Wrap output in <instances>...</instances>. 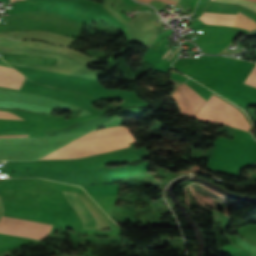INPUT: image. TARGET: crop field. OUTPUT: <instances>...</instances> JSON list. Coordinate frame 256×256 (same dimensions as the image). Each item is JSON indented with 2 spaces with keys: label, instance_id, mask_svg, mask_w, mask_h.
Instances as JSON below:
<instances>
[{
  "label": "crop field",
  "instance_id": "crop-field-13",
  "mask_svg": "<svg viewBox=\"0 0 256 256\" xmlns=\"http://www.w3.org/2000/svg\"><path fill=\"white\" fill-rule=\"evenodd\" d=\"M11 1H15V0H11Z\"/></svg>",
  "mask_w": 256,
  "mask_h": 256
},
{
  "label": "crop field",
  "instance_id": "crop-field-6",
  "mask_svg": "<svg viewBox=\"0 0 256 256\" xmlns=\"http://www.w3.org/2000/svg\"><path fill=\"white\" fill-rule=\"evenodd\" d=\"M0 55L8 63L57 65V61H58V58L45 57V56L13 54V53H3V52H0Z\"/></svg>",
  "mask_w": 256,
  "mask_h": 256
},
{
  "label": "crop field",
  "instance_id": "crop-field-8",
  "mask_svg": "<svg viewBox=\"0 0 256 256\" xmlns=\"http://www.w3.org/2000/svg\"><path fill=\"white\" fill-rule=\"evenodd\" d=\"M214 1H219V2H227V3H234V4H239V5H243L245 7H248L254 11H256V0H247V1H250V2H246V1H242V0H214Z\"/></svg>",
  "mask_w": 256,
  "mask_h": 256
},
{
  "label": "crop field",
  "instance_id": "crop-field-10",
  "mask_svg": "<svg viewBox=\"0 0 256 256\" xmlns=\"http://www.w3.org/2000/svg\"><path fill=\"white\" fill-rule=\"evenodd\" d=\"M0 118L22 120L19 116L15 115L13 113H10V112H0Z\"/></svg>",
  "mask_w": 256,
  "mask_h": 256
},
{
  "label": "crop field",
  "instance_id": "crop-field-4",
  "mask_svg": "<svg viewBox=\"0 0 256 256\" xmlns=\"http://www.w3.org/2000/svg\"><path fill=\"white\" fill-rule=\"evenodd\" d=\"M180 87H182L186 92H188L192 97H194L198 102H200L202 105L205 103V99H203L199 94H197L194 90H192L188 85H186L185 83H183L182 85H180ZM179 86L177 87V92L184 104L185 110H186V114L188 116H192L194 117V115L197 113V111L200 109V107L202 106L201 104H199L195 99H193L189 94H187L183 89H181ZM176 90L174 91V93L172 94V96L176 99L177 104L179 106V109L181 111V113L185 114V110L183 107V104L176 92ZM202 108V107H201Z\"/></svg>",
  "mask_w": 256,
  "mask_h": 256
},
{
  "label": "crop field",
  "instance_id": "crop-field-7",
  "mask_svg": "<svg viewBox=\"0 0 256 256\" xmlns=\"http://www.w3.org/2000/svg\"><path fill=\"white\" fill-rule=\"evenodd\" d=\"M24 79L15 69L0 67V86L19 89Z\"/></svg>",
  "mask_w": 256,
  "mask_h": 256
},
{
  "label": "crop field",
  "instance_id": "crop-field-5",
  "mask_svg": "<svg viewBox=\"0 0 256 256\" xmlns=\"http://www.w3.org/2000/svg\"><path fill=\"white\" fill-rule=\"evenodd\" d=\"M239 12V11H238ZM236 16L205 12L200 19L206 24L233 25ZM233 26L256 28V21L238 13Z\"/></svg>",
  "mask_w": 256,
  "mask_h": 256
},
{
  "label": "crop field",
  "instance_id": "crop-field-1",
  "mask_svg": "<svg viewBox=\"0 0 256 256\" xmlns=\"http://www.w3.org/2000/svg\"><path fill=\"white\" fill-rule=\"evenodd\" d=\"M133 138L128 128L118 126L114 128L100 129L93 131L64 147L95 145L103 142L124 140ZM135 139L104 143L96 146L60 148L48 156L40 159H77L91 157L127 147H131L130 142Z\"/></svg>",
  "mask_w": 256,
  "mask_h": 256
},
{
  "label": "crop field",
  "instance_id": "crop-field-3",
  "mask_svg": "<svg viewBox=\"0 0 256 256\" xmlns=\"http://www.w3.org/2000/svg\"><path fill=\"white\" fill-rule=\"evenodd\" d=\"M64 194L79 215L83 229H107L76 193L64 192Z\"/></svg>",
  "mask_w": 256,
  "mask_h": 256
},
{
  "label": "crop field",
  "instance_id": "crop-field-11",
  "mask_svg": "<svg viewBox=\"0 0 256 256\" xmlns=\"http://www.w3.org/2000/svg\"><path fill=\"white\" fill-rule=\"evenodd\" d=\"M142 1L149 3L151 0H142ZM162 1L170 3L172 5H176L177 3V0H162Z\"/></svg>",
  "mask_w": 256,
  "mask_h": 256
},
{
  "label": "crop field",
  "instance_id": "crop-field-9",
  "mask_svg": "<svg viewBox=\"0 0 256 256\" xmlns=\"http://www.w3.org/2000/svg\"><path fill=\"white\" fill-rule=\"evenodd\" d=\"M244 83L256 86V66L254 67V69L252 70V72L250 73V75L248 76Z\"/></svg>",
  "mask_w": 256,
  "mask_h": 256
},
{
  "label": "crop field",
  "instance_id": "crop-field-12",
  "mask_svg": "<svg viewBox=\"0 0 256 256\" xmlns=\"http://www.w3.org/2000/svg\"><path fill=\"white\" fill-rule=\"evenodd\" d=\"M174 49H175V48H174ZM172 52H173V51H172ZM172 52H171V53H172ZM168 53H169V51L166 53V55L164 56V58L167 56ZM171 53H170V54H171ZM170 54H169V55H170ZM169 55H168V56H169ZM171 55H172V54H171ZM171 55H170V56H171ZM168 56L166 57V59L168 58ZM168 59H169V58H168Z\"/></svg>",
  "mask_w": 256,
  "mask_h": 256
},
{
  "label": "crop field",
  "instance_id": "crop-field-2",
  "mask_svg": "<svg viewBox=\"0 0 256 256\" xmlns=\"http://www.w3.org/2000/svg\"><path fill=\"white\" fill-rule=\"evenodd\" d=\"M52 225L4 217L0 219V244L15 245L42 239Z\"/></svg>",
  "mask_w": 256,
  "mask_h": 256
}]
</instances>
